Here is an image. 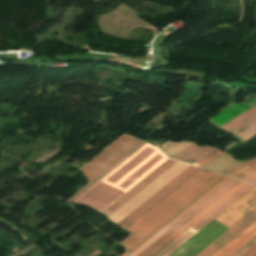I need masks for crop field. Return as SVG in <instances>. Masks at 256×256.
Wrapping results in <instances>:
<instances>
[{
	"instance_id": "8a807250",
	"label": "crop field",
	"mask_w": 256,
	"mask_h": 256,
	"mask_svg": "<svg viewBox=\"0 0 256 256\" xmlns=\"http://www.w3.org/2000/svg\"><path fill=\"white\" fill-rule=\"evenodd\" d=\"M225 175L200 169L127 230L134 235L122 244L128 253L180 213Z\"/></svg>"
},
{
	"instance_id": "ac0d7876",
	"label": "crop field",
	"mask_w": 256,
	"mask_h": 256,
	"mask_svg": "<svg viewBox=\"0 0 256 256\" xmlns=\"http://www.w3.org/2000/svg\"><path fill=\"white\" fill-rule=\"evenodd\" d=\"M167 159L146 144L74 202L90 204L102 212Z\"/></svg>"
},
{
	"instance_id": "34b2d1b8",
	"label": "crop field",
	"mask_w": 256,
	"mask_h": 256,
	"mask_svg": "<svg viewBox=\"0 0 256 256\" xmlns=\"http://www.w3.org/2000/svg\"><path fill=\"white\" fill-rule=\"evenodd\" d=\"M232 177L226 176L219 183H217L214 187H212L208 192H206L202 197H200L197 201H195L191 206H189L186 210H184L180 215H178L174 220H172L169 224H167L163 229H161L158 233H156L153 237H151L148 241H146L143 245H141L138 249H136L130 255L136 256L141 251H143L146 247H148L151 243H153L156 239H158L161 235H163L166 231H168L171 227H173L176 223H178L181 219H183L186 215H188L191 211H193L196 207H198L201 203H203L206 199H208L211 195H213L216 191H218L221 187H223L226 183H228ZM240 180L234 178L228 184H226L223 188H221L218 192H216L213 196H211L208 200H206L203 204H201L198 208H196L193 212H191L188 216H186L183 220H181L178 224H176L173 228H171L166 234L172 236L178 230H180L183 226H185L188 222H190L193 218H195L198 214H200L203 210H205L208 206H210L213 202H215L218 198H220L223 194H225L228 190H230L233 186H235ZM247 182L241 181L235 187H233L230 191H228L225 195H223L220 199H218L215 203H213L210 207H208L205 211H203L200 215H198L195 219H193L190 223H188L185 227H183L180 231H178L172 237L164 234L158 240H156L153 244H151L148 248H146L143 252H141L138 256H156L162 250H164L167 246L173 243L179 236H181L184 232L190 229L193 225H195L198 221H200L203 217L209 214L212 210H214L217 206L223 203L226 199H228L231 195H233L236 191H238L241 187H243Z\"/></svg>"
},
{
	"instance_id": "412701ff",
	"label": "crop field",
	"mask_w": 256,
	"mask_h": 256,
	"mask_svg": "<svg viewBox=\"0 0 256 256\" xmlns=\"http://www.w3.org/2000/svg\"><path fill=\"white\" fill-rule=\"evenodd\" d=\"M256 207V187L243 196L239 201L232 205L228 210L221 214L215 221L231 227L251 210ZM215 221H211L207 227L181 246L170 256H195L206 246L218 238L229 227Z\"/></svg>"
},
{
	"instance_id": "f4fd0767",
	"label": "crop field",
	"mask_w": 256,
	"mask_h": 256,
	"mask_svg": "<svg viewBox=\"0 0 256 256\" xmlns=\"http://www.w3.org/2000/svg\"><path fill=\"white\" fill-rule=\"evenodd\" d=\"M138 143L140 141L124 136L81 167V170L92 180Z\"/></svg>"
},
{
	"instance_id": "dd49c442",
	"label": "crop field",
	"mask_w": 256,
	"mask_h": 256,
	"mask_svg": "<svg viewBox=\"0 0 256 256\" xmlns=\"http://www.w3.org/2000/svg\"><path fill=\"white\" fill-rule=\"evenodd\" d=\"M188 166L189 165L177 162L109 218L117 224L143 202H145L148 198H150L153 194H155L172 179H174L177 175H179Z\"/></svg>"
},
{
	"instance_id": "e52e79f7",
	"label": "crop field",
	"mask_w": 256,
	"mask_h": 256,
	"mask_svg": "<svg viewBox=\"0 0 256 256\" xmlns=\"http://www.w3.org/2000/svg\"><path fill=\"white\" fill-rule=\"evenodd\" d=\"M197 170H199V168H195L192 166L187 168L185 171L183 170L184 172H182L179 176H177L174 180H172L169 184H167L164 188H162L154 196H152L145 203H143L140 207H138L135 211H133L130 215H128L125 219H123L120 223H118V225H120L123 228L128 226L131 222H133L135 219H137L140 215H142L150 207H152L154 204H156L159 200H161L169 192H171L173 189H175L178 185H180L188 177H190L192 174H194Z\"/></svg>"
},
{
	"instance_id": "d8731c3e",
	"label": "crop field",
	"mask_w": 256,
	"mask_h": 256,
	"mask_svg": "<svg viewBox=\"0 0 256 256\" xmlns=\"http://www.w3.org/2000/svg\"><path fill=\"white\" fill-rule=\"evenodd\" d=\"M253 186L255 185L248 183L243 188L241 187L242 189H240L227 201L221 204L218 208H216L213 212H211L208 216H206L203 220H201L198 224H196L193 228H191L188 232H186L183 236H181L176 242L170 245L158 256H168L171 252H173L176 248H178L181 244H183L186 240H188L191 236H193L196 232H198L201 228H203L207 223H209L212 219H214L217 215H219L222 211H224L227 207H229L232 203H234L237 199H239L243 194H245Z\"/></svg>"
},
{
	"instance_id": "5a996713",
	"label": "crop field",
	"mask_w": 256,
	"mask_h": 256,
	"mask_svg": "<svg viewBox=\"0 0 256 256\" xmlns=\"http://www.w3.org/2000/svg\"><path fill=\"white\" fill-rule=\"evenodd\" d=\"M255 222L256 209L253 210L250 214H248L231 229H229L226 233H224L221 237H219L216 241H214L197 256H213Z\"/></svg>"
},
{
	"instance_id": "3316defc",
	"label": "crop field",
	"mask_w": 256,
	"mask_h": 256,
	"mask_svg": "<svg viewBox=\"0 0 256 256\" xmlns=\"http://www.w3.org/2000/svg\"><path fill=\"white\" fill-rule=\"evenodd\" d=\"M174 163H176V161H173L171 159L166 161L158 169L152 172L149 176H147L144 180H142L139 184H137L134 188H132L129 192H127L124 196H122L119 200H117L114 204L107 208L103 213L107 214L109 212L112 215L115 211H117L121 206H123L137 193H139L142 189L149 185L153 180H155L158 176L165 172Z\"/></svg>"
},
{
	"instance_id": "28ad6ade",
	"label": "crop field",
	"mask_w": 256,
	"mask_h": 256,
	"mask_svg": "<svg viewBox=\"0 0 256 256\" xmlns=\"http://www.w3.org/2000/svg\"><path fill=\"white\" fill-rule=\"evenodd\" d=\"M256 236V223L228 244L224 249H222L215 256H231L236 251H238L242 246L249 242L252 238Z\"/></svg>"
},
{
	"instance_id": "d1516ede",
	"label": "crop field",
	"mask_w": 256,
	"mask_h": 256,
	"mask_svg": "<svg viewBox=\"0 0 256 256\" xmlns=\"http://www.w3.org/2000/svg\"><path fill=\"white\" fill-rule=\"evenodd\" d=\"M229 133L233 134L242 143L252 138L256 135V115L234 128Z\"/></svg>"
},
{
	"instance_id": "22f410ed",
	"label": "crop field",
	"mask_w": 256,
	"mask_h": 256,
	"mask_svg": "<svg viewBox=\"0 0 256 256\" xmlns=\"http://www.w3.org/2000/svg\"><path fill=\"white\" fill-rule=\"evenodd\" d=\"M251 106L243 105V104H233L217 116L210 119L217 126H222L223 124L227 123L234 117L238 116L245 110L249 109Z\"/></svg>"
},
{
	"instance_id": "cbeb9de0",
	"label": "crop field",
	"mask_w": 256,
	"mask_h": 256,
	"mask_svg": "<svg viewBox=\"0 0 256 256\" xmlns=\"http://www.w3.org/2000/svg\"><path fill=\"white\" fill-rule=\"evenodd\" d=\"M146 143L141 142L136 147H134L131 151H129L126 155L120 158L117 162H115L112 166L106 169L103 173H101L98 177H96L93 181H91L88 185H86L82 190H80L75 196H73L69 201L73 202L79 196H81L84 192H86L89 188H91L94 184H96L99 180H101L104 176H106L109 172L115 169L118 165H120L123 161H125L128 157H130L133 153H135L138 149H140Z\"/></svg>"
},
{
	"instance_id": "5142ce71",
	"label": "crop field",
	"mask_w": 256,
	"mask_h": 256,
	"mask_svg": "<svg viewBox=\"0 0 256 256\" xmlns=\"http://www.w3.org/2000/svg\"><path fill=\"white\" fill-rule=\"evenodd\" d=\"M213 150H215V149L211 148V147H207V146L200 147V146H197L194 144V145L186 148L185 150L179 152L178 154L172 156L171 158H175V159H179V160H183V161H186V159H188V158H192L197 161L200 158H202L205 155L212 152Z\"/></svg>"
},
{
	"instance_id": "d9b57169",
	"label": "crop field",
	"mask_w": 256,
	"mask_h": 256,
	"mask_svg": "<svg viewBox=\"0 0 256 256\" xmlns=\"http://www.w3.org/2000/svg\"><path fill=\"white\" fill-rule=\"evenodd\" d=\"M192 144H194V143H192V142H182V143L166 142V143L162 144L161 146H159V149L162 152H164L168 157H170Z\"/></svg>"
},
{
	"instance_id": "733c2abd",
	"label": "crop field",
	"mask_w": 256,
	"mask_h": 256,
	"mask_svg": "<svg viewBox=\"0 0 256 256\" xmlns=\"http://www.w3.org/2000/svg\"><path fill=\"white\" fill-rule=\"evenodd\" d=\"M254 171H256V158L242 164L241 166L233 169L227 174H231V175L243 178Z\"/></svg>"
},
{
	"instance_id": "4a817a6b",
	"label": "crop field",
	"mask_w": 256,
	"mask_h": 256,
	"mask_svg": "<svg viewBox=\"0 0 256 256\" xmlns=\"http://www.w3.org/2000/svg\"><path fill=\"white\" fill-rule=\"evenodd\" d=\"M254 114H256V109L252 107L220 128L228 132Z\"/></svg>"
},
{
	"instance_id": "bc2a9ffb",
	"label": "crop field",
	"mask_w": 256,
	"mask_h": 256,
	"mask_svg": "<svg viewBox=\"0 0 256 256\" xmlns=\"http://www.w3.org/2000/svg\"><path fill=\"white\" fill-rule=\"evenodd\" d=\"M224 152L220 151V150H215L212 153H210L209 155L205 156L204 158H202L201 160L197 161L196 163H194L193 165H197V166H204L207 163H209L210 161L214 160L215 158H217L218 156L222 155Z\"/></svg>"
},
{
	"instance_id": "214f88e0",
	"label": "crop field",
	"mask_w": 256,
	"mask_h": 256,
	"mask_svg": "<svg viewBox=\"0 0 256 256\" xmlns=\"http://www.w3.org/2000/svg\"><path fill=\"white\" fill-rule=\"evenodd\" d=\"M255 244H256V237L253 240H251L247 245H245L242 249H240L237 253H235L233 256H241Z\"/></svg>"
},
{
	"instance_id": "92a150f3",
	"label": "crop field",
	"mask_w": 256,
	"mask_h": 256,
	"mask_svg": "<svg viewBox=\"0 0 256 256\" xmlns=\"http://www.w3.org/2000/svg\"><path fill=\"white\" fill-rule=\"evenodd\" d=\"M243 256H256V245L250 249L247 253H245Z\"/></svg>"
},
{
	"instance_id": "dafd665d",
	"label": "crop field",
	"mask_w": 256,
	"mask_h": 256,
	"mask_svg": "<svg viewBox=\"0 0 256 256\" xmlns=\"http://www.w3.org/2000/svg\"><path fill=\"white\" fill-rule=\"evenodd\" d=\"M244 179L256 182V172L250 174L249 176L245 177Z\"/></svg>"
},
{
	"instance_id": "00972430",
	"label": "crop field",
	"mask_w": 256,
	"mask_h": 256,
	"mask_svg": "<svg viewBox=\"0 0 256 256\" xmlns=\"http://www.w3.org/2000/svg\"><path fill=\"white\" fill-rule=\"evenodd\" d=\"M121 256H127L126 254H123V255H121Z\"/></svg>"
}]
</instances>
